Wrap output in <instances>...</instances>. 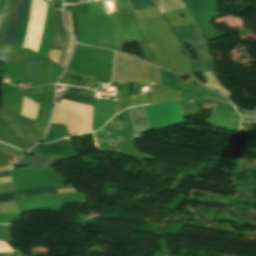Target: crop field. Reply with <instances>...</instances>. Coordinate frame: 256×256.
Segmentation results:
<instances>
[{
	"instance_id": "d1516ede",
	"label": "crop field",
	"mask_w": 256,
	"mask_h": 256,
	"mask_svg": "<svg viewBox=\"0 0 256 256\" xmlns=\"http://www.w3.org/2000/svg\"><path fill=\"white\" fill-rule=\"evenodd\" d=\"M130 110H131L136 133L150 130L147 122L146 114L144 111V107L143 106L133 107V108H130Z\"/></svg>"
},
{
	"instance_id": "cbeb9de0",
	"label": "crop field",
	"mask_w": 256,
	"mask_h": 256,
	"mask_svg": "<svg viewBox=\"0 0 256 256\" xmlns=\"http://www.w3.org/2000/svg\"><path fill=\"white\" fill-rule=\"evenodd\" d=\"M68 135L65 125L52 124L44 142H52Z\"/></svg>"
},
{
	"instance_id": "8a807250",
	"label": "crop field",
	"mask_w": 256,
	"mask_h": 256,
	"mask_svg": "<svg viewBox=\"0 0 256 256\" xmlns=\"http://www.w3.org/2000/svg\"><path fill=\"white\" fill-rule=\"evenodd\" d=\"M48 123L33 121L0 109V141L27 150L39 142Z\"/></svg>"
},
{
	"instance_id": "00972430",
	"label": "crop field",
	"mask_w": 256,
	"mask_h": 256,
	"mask_svg": "<svg viewBox=\"0 0 256 256\" xmlns=\"http://www.w3.org/2000/svg\"><path fill=\"white\" fill-rule=\"evenodd\" d=\"M4 2H5V0H0V11H1L3 5H4Z\"/></svg>"
},
{
	"instance_id": "412701ff",
	"label": "crop field",
	"mask_w": 256,
	"mask_h": 256,
	"mask_svg": "<svg viewBox=\"0 0 256 256\" xmlns=\"http://www.w3.org/2000/svg\"><path fill=\"white\" fill-rule=\"evenodd\" d=\"M145 108L151 130L184 122L180 101L146 105Z\"/></svg>"
},
{
	"instance_id": "4177f3b9",
	"label": "crop field",
	"mask_w": 256,
	"mask_h": 256,
	"mask_svg": "<svg viewBox=\"0 0 256 256\" xmlns=\"http://www.w3.org/2000/svg\"><path fill=\"white\" fill-rule=\"evenodd\" d=\"M204 98H211V99H216V98H212V97H209V96H205L204 95ZM218 100V99H217Z\"/></svg>"
},
{
	"instance_id": "4a817a6b",
	"label": "crop field",
	"mask_w": 256,
	"mask_h": 256,
	"mask_svg": "<svg viewBox=\"0 0 256 256\" xmlns=\"http://www.w3.org/2000/svg\"><path fill=\"white\" fill-rule=\"evenodd\" d=\"M0 240H12L10 236V225H0Z\"/></svg>"
},
{
	"instance_id": "a9b5d70f",
	"label": "crop field",
	"mask_w": 256,
	"mask_h": 256,
	"mask_svg": "<svg viewBox=\"0 0 256 256\" xmlns=\"http://www.w3.org/2000/svg\"><path fill=\"white\" fill-rule=\"evenodd\" d=\"M21 254L18 252V251H16L15 253H13V255L12 256H20Z\"/></svg>"
},
{
	"instance_id": "3316defc",
	"label": "crop field",
	"mask_w": 256,
	"mask_h": 256,
	"mask_svg": "<svg viewBox=\"0 0 256 256\" xmlns=\"http://www.w3.org/2000/svg\"><path fill=\"white\" fill-rule=\"evenodd\" d=\"M92 93L93 91L90 89L68 86L67 92L63 94L62 98L91 105Z\"/></svg>"
},
{
	"instance_id": "f4fd0767",
	"label": "crop field",
	"mask_w": 256,
	"mask_h": 256,
	"mask_svg": "<svg viewBox=\"0 0 256 256\" xmlns=\"http://www.w3.org/2000/svg\"><path fill=\"white\" fill-rule=\"evenodd\" d=\"M34 4H35V0H32L30 19H29L25 39H24V44H23L24 47H26L27 45ZM46 7H47V4L44 0H36L31 30H30V35H29V40L27 45L29 49H34L36 52L38 51V47H39Z\"/></svg>"
},
{
	"instance_id": "730fd06b",
	"label": "crop field",
	"mask_w": 256,
	"mask_h": 256,
	"mask_svg": "<svg viewBox=\"0 0 256 256\" xmlns=\"http://www.w3.org/2000/svg\"><path fill=\"white\" fill-rule=\"evenodd\" d=\"M22 256V255H21Z\"/></svg>"
},
{
	"instance_id": "5142ce71",
	"label": "crop field",
	"mask_w": 256,
	"mask_h": 256,
	"mask_svg": "<svg viewBox=\"0 0 256 256\" xmlns=\"http://www.w3.org/2000/svg\"><path fill=\"white\" fill-rule=\"evenodd\" d=\"M38 106V104L23 96V106L20 114L34 120L36 117Z\"/></svg>"
},
{
	"instance_id": "dd49c442",
	"label": "crop field",
	"mask_w": 256,
	"mask_h": 256,
	"mask_svg": "<svg viewBox=\"0 0 256 256\" xmlns=\"http://www.w3.org/2000/svg\"><path fill=\"white\" fill-rule=\"evenodd\" d=\"M240 115L229 103L220 102L217 104L211 118L206 123L215 127L226 128L238 131Z\"/></svg>"
},
{
	"instance_id": "bc2a9ffb",
	"label": "crop field",
	"mask_w": 256,
	"mask_h": 256,
	"mask_svg": "<svg viewBox=\"0 0 256 256\" xmlns=\"http://www.w3.org/2000/svg\"><path fill=\"white\" fill-rule=\"evenodd\" d=\"M238 111L240 112V114L242 116V121L256 124V113H246L241 110H238Z\"/></svg>"
},
{
	"instance_id": "733c2abd",
	"label": "crop field",
	"mask_w": 256,
	"mask_h": 256,
	"mask_svg": "<svg viewBox=\"0 0 256 256\" xmlns=\"http://www.w3.org/2000/svg\"><path fill=\"white\" fill-rule=\"evenodd\" d=\"M133 10L154 7L155 4L152 0H129Z\"/></svg>"
},
{
	"instance_id": "e52e79f7",
	"label": "crop field",
	"mask_w": 256,
	"mask_h": 256,
	"mask_svg": "<svg viewBox=\"0 0 256 256\" xmlns=\"http://www.w3.org/2000/svg\"><path fill=\"white\" fill-rule=\"evenodd\" d=\"M65 139H70V137ZM38 152L49 155H77L71 140H59L50 144H40L38 145Z\"/></svg>"
},
{
	"instance_id": "28ad6ade",
	"label": "crop field",
	"mask_w": 256,
	"mask_h": 256,
	"mask_svg": "<svg viewBox=\"0 0 256 256\" xmlns=\"http://www.w3.org/2000/svg\"><path fill=\"white\" fill-rule=\"evenodd\" d=\"M54 25H55V32H54V39H53L51 49L61 50L63 37H64V26L62 23L61 11H58L55 9H54Z\"/></svg>"
},
{
	"instance_id": "22f410ed",
	"label": "crop field",
	"mask_w": 256,
	"mask_h": 256,
	"mask_svg": "<svg viewBox=\"0 0 256 256\" xmlns=\"http://www.w3.org/2000/svg\"><path fill=\"white\" fill-rule=\"evenodd\" d=\"M16 192H17V198L27 197V196H34V195H44V194L57 193L56 188L53 187V186L25 189V190H19V191H16Z\"/></svg>"
},
{
	"instance_id": "d8731c3e",
	"label": "crop field",
	"mask_w": 256,
	"mask_h": 256,
	"mask_svg": "<svg viewBox=\"0 0 256 256\" xmlns=\"http://www.w3.org/2000/svg\"><path fill=\"white\" fill-rule=\"evenodd\" d=\"M23 0H15L13 4V8L11 11V15L4 33L3 41L4 43H10L12 44L17 22H18V17L20 13V9L22 6Z\"/></svg>"
},
{
	"instance_id": "34b2d1b8",
	"label": "crop field",
	"mask_w": 256,
	"mask_h": 256,
	"mask_svg": "<svg viewBox=\"0 0 256 256\" xmlns=\"http://www.w3.org/2000/svg\"><path fill=\"white\" fill-rule=\"evenodd\" d=\"M67 103L62 99L57 123L64 124ZM92 108L69 101L65 124L70 135L92 131Z\"/></svg>"
},
{
	"instance_id": "214f88e0",
	"label": "crop field",
	"mask_w": 256,
	"mask_h": 256,
	"mask_svg": "<svg viewBox=\"0 0 256 256\" xmlns=\"http://www.w3.org/2000/svg\"><path fill=\"white\" fill-rule=\"evenodd\" d=\"M80 83V77L74 76L70 74L69 83L70 85H76L78 86Z\"/></svg>"
},
{
	"instance_id": "5a996713",
	"label": "crop field",
	"mask_w": 256,
	"mask_h": 256,
	"mask_svg": "<svg viewBox=\"0 0 256 256\" xmlns=\"http://www.w3.org/2000/svg\"><path fill=\"white\" fill-rule=\"evenodd\" d=\"M31 0H24L14 42L15 45L22 46L23 39L26 31V26L29 18V9H30Z\"/></svg>"
},
{
	"instance_id": "92a150f3",
	"label": "crop field",
	"mask_w": 256,
	"mask_h": 256,
	"mask_svg": "<svg viewBox=\"0 0 256 256\" xmlns=\"http://www.w3.org/2000/svg\"><path fill=\"white\" fill-rule=\"evenodd\" d=\"M73 23H74V34L78 37V23L76 13H72Z\"/></svg>"
},
{
	"instance_id": "dafd665d",
	"label": "crop field",
	"mask_w": 256,
	"mask_h": 256,
	"mask_svg": "<svg viewBox=\"0 0 256 256\" xmlns=\"http://www.w3.org/2000/svg\"><path fill=\"white\" fill-rule=\"evenodd\" d=\"M12 253H0V256H11Z\"/></svg>"
},
{
	"instance_id": "ac0d7876",
	"label": "crop field",
	"mask_w": 256,
	"mask_h": 256,
	"mask_svg": "<svg viewBox=\"0 0 256 256\" xmlns=\"http://www.w3.org/2000/svg\"><path fill=\"white\" fill-rule=\"evenodd\" d=\"M163 17L168 26L171 28L183 52L186 54L190 62L191 72L195 73L201 71H214V64L212 62L208 48L196 24L172 28L165 15H163ZM186 42H188L191 50H196L197 59L193 60L191 54L188 53L184 45Z\"/></svg>"
},
{
	"instance_id": "d9b57169",
	"label": "crop field",
	"mask_w": 256,
	"mask_h": 256,
	"mask_svg": "<svg viewBox=\"0 0 256 256\" xmlns=\"http://www.w3.org/2000/svg\"><path fill=\"white\" fill-rule=\"evenodd\" d=\"M10 173H11V171H4V172H1V173H0V177L10 176ZM9 181H11V178H10V177L0 178V183L9 182ZM14 197H15V192L6 193V194H0V202L13 200Z\"/></svg>"
}]
</instances>
